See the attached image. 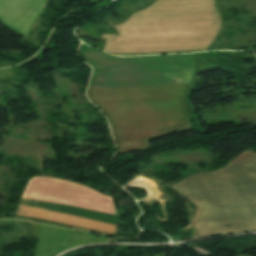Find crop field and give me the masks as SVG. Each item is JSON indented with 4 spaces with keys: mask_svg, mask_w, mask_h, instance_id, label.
<instances>
[{
    "mask_svg": "<svg viewBox=\"0 0 256 256\" xmlns=\"http://www.w3.org/2000/svg\"><path fill=\"white\" fill-rule=\"evenodd\" d=\"M198 207L195 238L256 231V153L244 152L226 167L173 185Z\"/></svg>",
    "mask_w": 256,
    "mask_h": 256,
    "instance_id": "obj_1",
    "label": "crop field"
},
{
    "mask_svg": "<svg viewBox=\"0 0 256 256\" xmlns=\"http://www.w3.org/2000/svg\"><path fill=\"white\" fill-rule=\"evenodd\" d=\"M22 197L115 214L111 198L58 179L34 177Z\"/></svg>",
    "mask_w": 256,
    "mask_h": 256,
    "instance_id": "obj_2",
    "label": "crop field"
},
{
    "mask_svg": "<svg viewBox=\"0 0 256 256\" xmlns=\"http://www.w3.org/2000/svg\"><path fill=\"white\" fill-rule=\"evenodd\" d=\"M16 214L39 218V219L50 220V221H55V222L73 225V226H77V227H82V228H86V229H91V230H95V231H99V232H104V233H108V234H114L115 229L117 227L116 225H111V224H106V223H101V222L61 215V214H56V213H51V212L21 207V206H19Z\"/></svg>",
    "mask_w": 256,
    "mask_h": 256,
    "instance_id": "obj_3",
    "label": "crop field"
}]
</instances>
